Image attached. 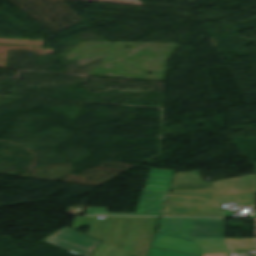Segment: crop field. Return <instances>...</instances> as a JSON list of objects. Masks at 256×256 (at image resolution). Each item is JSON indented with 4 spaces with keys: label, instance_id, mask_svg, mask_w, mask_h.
I'll use <instances>...</instances> for the list:
<instances>
[{
    "label": "crop field",
    "instance_id": "crop-field-9",
    "mask_svg": "<svg viewBox=\"0 0 256 256\" xmlns=\"http://www.w3.org/2000/svg\"><path fill=\"white\" fill-rule=\"evenodd\" d=\"M167 193L158 192L155 200L164 201Z\"/></svg>",
    "mask_w": 256,
    "mask_h": 256
},
{
    "label": "crop field",
    "instance_id": "crop-field-5",
    "mask_svg": "<svg viewBox=\"0 0 256 256\" xmlns=\"http://www.w3.org/2000/svg\"><path fill=\"white\" fill-rule=\"evenodd\" d=\"M157 192L143 191L135 215L159 216L164 202L154 201Z\"/></svg>",
    "mask_w": 256,
    "mask_h": 256
},
{
    "label": "crop field",
    "instance_id": "crop-field-3",
    "mask_svg": "<svg viewBox=\"0 0 256 256\" xmlns=\"http://www.w3.org/2000/svg\"><path fill=\"white\" fill-rule=\"evenodd\" d=\"M217 194L255 190V174L215 182Z\"/></svg>",
    "mask_w": 256,
    "mask_h": 256
},
{
    "label": "crop field",
    "instance_id": "crop-field-12",
    "mask_svg": "<svg viewBox=\"0 0 256 256\" xmlns=\"http://www.w3.org/2000/svg\"><path fill=\"white\" fill-rule=\"evenodd\" d=\"M255 168H256V163H255Z\"/></svg>",
    "mask_w": 256,
    "mask_h": 256
},
{
    "label": "crop field",
    "instance_id": "crop-field-11",
    "mask_svg": "<svg viewBox=\"0 0 256 256\" xmlns=\"http://www.w3.org/2000/svg\"><path fill=\"white\" fill-rule=\"evenodd\" d=\"M130 256H134V255L130 254Z\"/></svg>",
    "mask_w": 256,
    "mask_h": 256
},
{
    "label": "crop field",
    "instance_id": "crop-field-6",
    "mask_svg": "<svg viewBox=\"0 0 256 256\" xmlns=\"http://www.w3.org/2000/svg\"><path fill=\"white\" fill-rule=\"evenodd\" d=\"M161 216L222 217L221 209H164Z\"/></svg>",
    "mask_w": 256,
    "mask_h": 256
},
{
    "label": "crop field",
    "instance_id": "crop-field-2",
    "mask_svg": "<svg viewBox=\"0 0 256 256\" xmlns=\"http://www.w3.org/2000/svg\"><path fill=\"white\" fill-rule=\"evenodd\" d=\"M151 245L202 256L200 246L193 241L158 233L155 234Z\"/></svg>",
    "mask_w": 256,
    "mask_h": 256
},
{
    "label": "crop field",
    "instance_id": "crop-field-10",
    "mask_svg": "<svg viewBox=\"0 0 256 256\" xmlns=\"http://www.w3.org/2000/svg\"><path fill=\"white\" fill-rule=\"evenodd\" d=\"M230 253H224V254H210V255H203V256H229Z\"/></svg>",
    "mask_w": 256,
    "mask_h": 256
},
{
    "label": "crop field",
    "instance_id": "crop-field-8",
    "mask_svg": "<svg viewBox=\"0 0 256 256\" xmlns=\"http://www.w3.org/2000/svg\"><path fill=\"white\" fill-rule=\"evenodd\" d=\"M93 256H129V253L118 250L104 242L99 246Z\"/></svg>",
    "mask_w": 256,
    "mask_h": 256
},
{
    "label": "crop field",
    "instance_id": "crop-field-7",
    "mask_svg": "<svg viewBox=\"0 0 256 256\" xmlns=\"http://www.w3.org/2000/svg\"><path fill=\"white\" fill-rule=\"evenodd\" d=\"M233 250L256 249L255 238H225Z\"/></svg>",
    "mask_w": 256,
    "mask_h": 256
},
{
    "label": "crop field",
    "instance_id": "crop-field-1",
    "mask_svg": "<svg viewBox=\"0 0 256 256\" xmlns=\"http://www.w3.org/2000/svg\"><path fill=\"white\" fill-rule=\"evenodd\" d=\"M159 233L190 239L202 254L233 252L224 239L223 219L161 218Z\"/></svg>",
    "mask_w": 256,
    "mask_h": 256
},
{
    "label": "crop field",
    "instance_id": "crop-field-4",
    "mask_svg": "<svg viewBox=\"0 0 256 256\" xmlns=\"http://www.w3.org/2000/svg\"><path fill=\"white\" fill-rule=\"evenodd\" d=\"M173 173L174 171L151 169L144 190L167 192Z\"/></svg>",
    "mask_w": 256,
    "mask_h": 256
}]
</instances>
